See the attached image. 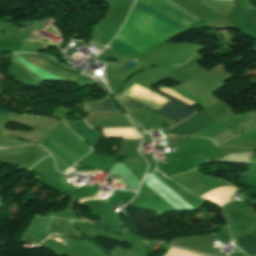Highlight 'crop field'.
<instances>
[{"label":"crop field","instance_id":"5","mask_svg":"<svg viewBox=\"0 0 256 256\" xmlns=\"http://www.w3.org/2000/svg\"><path fill=\"white\" fill-rule=\"evenodd\" d=\"M66 125L85 140L92 148L93 145L102 138L98 132L88 127L83 119L66 123Z\"/></svg>","mask_w":256,"mask_h":256},{"label":"crop field","instance_id":"8","mask_svg":"<svg viewBox=\"0 0 256 256\" xmlns=\"http://www.w3.org/2000/svg\"><path fill=\"white\" fill-rule=\"evenodd\" d=\"M138 208L155 210L159 213V215L167 211L175 210L153 191L145 198V200L138 206Z\"/></svg>","mask_w":256,"mask_h":256},{"label":"crop field","instance_id":"3","mask_svg":"<svg viewBox=\"0 0 256 256\" xmlns=\"http://www.w3.org/2000/svg\"><path fill=\"white\" fill-rule=\"evenodd\" d=\"M156 92L164 95L170 99H172L170 102H168L166 105L158 109L155 113L175 122L179 123L182 120L186 119L187 117L193 115L195 112L192 110V107L188 104L156 89Z\"/></svg>","mask_w":256,"mask_h":256},{"label":"crop field","instance_id":"11","mask_svg":"<svg viewBox=\"0 0 256 256\" xmlns=\"http://www.w3.org/2000/svg\"><path fill=\"white\" fill-rule=\"evenodd\" d=\"M8 115H9L8 113H4V112H1V111H0V119H1V120H5V121H6Z\"/></svg>","mask_w":256,"mask_h":256},{"label":"crop field","instance_id":"13","mask_svg":"<svg viewBox=\"0 0 256 256\" xmlns=\"http://www.w3.org/2000/svg\"><path fill=\"white\" fill-rule=\"evenodd\" d=\"M0 148H4V147H0Z\"/></svg>","mask_w":256,"mask_h":256},{"label":"crop field","instance_id":"10","mask_svg":"<svg viewBox=\"0 0 256 256\" xmlns=\"http://www.w3.org/2000/svg\"><path fill=\"white\" fill-rule=\"evenodd\" d=\"M238 245L249 255L256 253V233L245 237L237 238Z\"/></svg>","mask_w":256,"mask_h":256},{"label":"crop field","instance_id":"6","mask_svg":"<svg viewBox=\"0 0 256 256\" xmlns=\"http://www.w3.org/2000/svg\"><path fill=\"white\" fill-rule=\"evenodd\" d=\"M116 162V157L100 155L91 152L89 155H87L85 158L79 161L76 165L85 167L112 168Z\"/></svg>","mask_w":256,"mask_h":256},{"label":"crop field","instance_id":"7","mask_svg":"<svg viewBox=\"0 0 256 256\" xmlns=\"http://www.w3.org/2000/svg\"><path fill=\"white\" fill-rule=\"evenodd\" d=\"M112 99V98H111ZM107 95L97 101L82 102L84 112H121L117 105Z\"/></svg>","mask_w":256,"mask_h":256},{"label":"crop field","instance_id":"12","mask_svg":"<svg viewBox=\"0 0 256 256\" xmlns=\"http://www.w3.org/2000/svg\"><path fill=\"white\" fill-rule=\"evenodd\" d=\"M253 19H254V21H255V23H256V9H254Z\"/></svg>","mask_w":256,"mask_h":256},{"label":"crop field","instance_id":"2","mask_svg":"<svg viewBox=\"0 0 256 256\" xmlns=\"http://www.w3.org/2000/svg\"><path fill=\"white\" fill-rule=\"evenodd\" d=\"M143 182L175 209L180 211L195 210L153 174L146 176Z\"/></svg>","mask_w":256,"mask_h":256},{"label":"crop field","instance_id":"4","mask_svg":"<svg viewBox=\"0 0 256 256\" xmlns=\"http://www.w3.org/2000/svg\"><path fill=\"white\" fill-rule=\"evenodd\" d=\"M216 122L213 118L209 117L206 111L192 116L186 121L180 123L174 129L170 130L176 135L190 136L199 130Z\"/></svg>","mask_w":256,"mask_h":256},{"label":"crop field","instance_id":"1","mask_svg":"<svg viewBox=\"0 0 256 256\" xmlns=\"http://www.w3.org/2000/svg\"><path fill=\"white\" fill-rule=\"evenodd\" d=\"M136 2V1H135ZM138 3V2H137ZM135 3L133 8L134 10L154 19L155 21L179 32L180 30L184 29L185 27ZM126 26L134 29L135 31L147 36L148 38L160 43L162 42L163 38L153 34L152 32L140 27L139 25L126 20L125 24ZM121 28L120 32L118 35L114 38L124 46H126L128 49L133 51L135 54H140L141 52L151 48L152 46L158 44L147 37L135 32L134 30L124 26ZM116 40H113L109 46L112 47L116 52H118L120 55H122L124 58L127 60L130 59L131 57L137 56L127 48H125L123 45L118 43Z\"/></svg>","mask_w":256,"mask_h":256},{"label":"crop field","instance_id":"9","mask_svg":"<svg viewBox=\"0 0 256 256\" xmlns=\"http://www.w3.org/2000/svg\"><path fill=\"white\" fill-rule=\"evenodd\" d=\"M54 219L34 216L24 234L41 239Z\"/></svg>","mask_w":256,"mask_h":256}]
</instances>
